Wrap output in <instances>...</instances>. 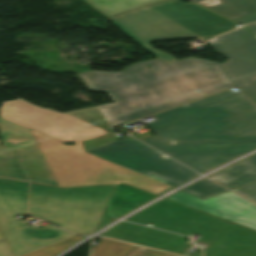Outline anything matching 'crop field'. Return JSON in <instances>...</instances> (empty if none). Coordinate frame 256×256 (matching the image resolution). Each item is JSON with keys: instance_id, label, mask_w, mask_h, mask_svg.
Segmentation results:
<instances>
[{"instance_id": "1", "label": "crop field", "mask_w": 256, "mask_h": 256, "mask_svg": "<svg viewBox=\"0 0 256 256\" xmlns=\"http://www.w3.org/2000/svg\"><path fill=\"white\" fill-rule=\"evenodd\" d=\"M142 140L203 173L256 148V103L229 90L156 115Z\"/></svg>"}, {"instance_id": "2", "label": "crop field", "mask_w": 256, "mask_h": 256, "mask_svg": "<svg viewBox=\"0 0 256 256\" xmlns=\"http://www.w3.org/2000/svg\"><path fill=\"white\" fill-rule=\"evenodd\" d=\"M78 75L89 90L107 92L115 102L99 106L112 127L232 87L218 63L192 57L167 65L155 59L120 73Z\"/></svg>"}, {"instance_id": "3", "label": "crop field", "mask_w": 256, "mask_h": 256, "mask_svg": "<svg viewBox=\"0 0 256 256\" xmlns=\"http://www.w3.org/2000/svg\"><path fill=\"white\" fill-rule=\"evenodd\" d=\"M165 64L177 61L154 49L149 42L199 37L206 41L230 31L238 24L193 2L170 0L108 18Z\"/></svg>"}, {"instance_id": "4", "label": "crop field", "mask_w": 256, "mask_h": 256, "mask_svg": "<svg viewBox=\"0 0 256 256\" xmlns=\"http://www.w3.org/2000/svg\"><path fill=\"white\" fill-rule=\"evenodd\" d=\"M32 133L62 187L126 183L157 195L173 188L85 152L81 141L70 146L40 133Z\"/></svg>"}, {"instance_id": "5", "label": "crop field", "mask_w": 256, "mask_h": 256, "mask_svg": "<svg viewBox=\"0 0 256 256\" xmlns=\"http://www.w3.org/2000/svg\"><path fill=\"white\" fill-rule=\"evenodd\" d=\"M114 185L61 189L30 183L28 213L68 231H94Z\"/></svg>"}, {"instance_id": "6", "label": "crop field", "mask_w": 256, "mask_h": 256, "mask_svg": "<svg viewBox=\"0 0 256 256\" xmlns=\"http://www.w3.org/2000/svg\"><path fill=\"white\" fill-rule=\"evenodd\" d=\"M1 116L63 142L82 140L85 151L119 139L97 108L57 114L20 100L3 102Z\"/></svg>"}, {"instance_id": "7", "label": "crop field", "mask_w": 256, "mask_h": 256, "mask_svg": "<svg viewBox=\"0 0 256 256\" xmlns=\"http://www.w3.org/2000/svg\"><path fill=\"white\" fill-rule=\"evenodd\" d=\"M27 188L28 183L0 179V230L14 256L74 236L53 226L37 230L15 219L25 212Z\"/></svg>"}, {"instance_id": "8", "label": "crop field", "mask_w": 256, "mask_h": 256, "mask_svg": "<svg viewBox=\"0 0 256 256\" xmlns=\"http://www.w3.org/2000/svg\"><path fill=\"white\" fill-rule=\"evenodd\" d=\"M88 152L173 187L199 175L130 136Z\"/></svg>"}, {"instance_id": "9", "label": "crop field", "mask_w": 256, "mask_h": 256, "mask_svg": "<svg viewBox=\"0 0 256 256\" xmlns=\"http://www.w3.org/2000/svg\"><path fill=\"white\" fill-rule=\"evenodd\" d=\"M128 221L162 230L189 236L191 233L202 235L198 241H213L227 224L222 220L210 217L186 207L163 200L142 212L130 217Z\"/></svg>"}, {"instance_id": "10", "label": "crop field", "mask_w": 256, "mask_h": 256, "mask_svg": "<svg viewBox=\"0 0 256 256\" xmlns=\"http://www.w3.org/2000/svg\"><path fill=\"white\" fill-rule=\"evenodd\" d=\"M247 32L242 27L208 43L229 58L220 67L237 88L256 102V39Z\"/></svg>"}, {"instance_id": "11", "label": "crop field", "mask_w": 256, "mask_h": 256, "mask_svg": "<svg viewBox=\"0 0 256 256\" xmlns=\"http://www.w3.org/2000/svg\"><path fill=\"white\" fill-rule=\"evenodd\" d=\"M0 132L5 146L11 142L30 181L59 186L30 129L0 117Z\"/></svg>"}, {"instance_id": "12", "label": "crop field", "mask_w": 256, "mask_h": 256, "mask_svg": "<svg viewBox=\"0 0 256 256\" xmlns=\"http://www.w3.org/2000/svg\"><path fill=\"white\" fill-rule=\"evenodd\" d=\"M167 199L256 230V205L230 191L204 200L180 191Z\"/></svg>"}, {"instance_id": "13", "label": "crop field", "mask_w": 256, "mask_h": 256, "mask_svg": "<svg viewBox=\"0 0 256 256\" xmlns=\"http://www.w3.org/2000/svg\"><path fill=\"white\" fill-rule=\"evenodd\" d=\"M204 256H256V232L228 223Z\"/></svg>"}, {"instance_id": "14", "label": "crop field", "mask_w": 256, "mask_h": 256, "mask_svg": "<svg viewBox=\"0 0 256 256\" xmlns=\"http://www.w3.org/2000/svg\"><path fill=\"white\" fill-rule=\"evenodd\" d=\"M154 197L156 196L133 189L125 185H117L99 219L95 230L112 221L111 219H107L108 217L118 218L119 216L130 211L136 206Z\"/></svg>"}, {"instance_id": "15", "label": "crop field", "mask_w": 256, "mask_h": 256, "mask_svg": "<svg viewBox=\"0 0 256 256\" xmlns=\"http://www.w3.org/2000/svg\"><path fill=\"white\" fill-rule=\"evenodd\" d=\"M209 177L230 189L255 182L256 154Z\"/></svg>"}, {"instance_id": "16", "label": "crop field", "mask_w": 256, "mask_h": 256, "mask_svg": "<svg viewBox=\"0 0 256 256\" xmlns=\"http://www.w3.org/2000/svg\"><path fill=\"white\" fill-rule=\"evenodd\" d=\"M106 18L167 0H84Z\"/></svg>"}, {"instance_id": "17", "label": "crop field", "mask_w": 256, "mask_h": 256, "mask_svg": "<svg viewBox=\"0 0 256 256\" xmlns=\"http://www.w3.org/2000/svg\"><path fill=\"white\" fill-rule=\"evenodd\" d=\"M231 20L256 13V0H218V5L206 6L203 0H190Z\"/></svg>"}, {"instance_id": "18", "label": "crop field", "mask_w": 256, "mask_h": 256, "mask_svg": "<svg viewBox=\"0 0 256 256\" xmlns=\"http://www.w3.org/2000/svg\"><path fill=\"white\" fill-rule=\"evenodd\" d=\"M0 177L27 181L11 147L0 148Z\"/></svg>"}, {"instance_id": "19", "label": "crop field", "mask_w": 256, "mask_h": 256, "mask_svg": "<svg viewBox=\"0 0 256 256\" xmlns=\"http://www.w3.org/2000/svg\"><path fill=\"white\" fill-rule=\"evenodd\" d=\"M101 241L92 248L91 256H125L135 246L100 238Z\"/></svg>"}, {"instance_id": "20", "label": "crop field", "mask_w": 256, "mask_h": 256, "mask_svg": "<svg viewBox=\"0 0 256 256\" xmlns=\"http://www.w3.org/2000/svg\"><path fill=\"white\" fill-rule=\"evenodd\" d=\"M182 191L204 199L227 190L205 178Z\"/></svg>"}, {"instance_id": "21", "label": "crop field", "mask_w": 256, "mask_h": 256, "mask_svg": "<svg viewBox=\"0 0 256 256\" xmlns=\"http://www.w3.org/2000/svg\"><path fill=\"white\" fill-rule=\"evenodd\" d=\"M82 238L83 237L74 236L60 243L25 254L23 256H54Z\"/></svg>"}, {"instance_id": "22", "label": "crop field", "mask_w": 256, "mask_h": 256, "mask_svg": "<svg viewBox=\"0 0 256 256\" xmlns=\"http://www.w3.org/2000/svg\"><path fill=\"white\" fill-rule=\"evenodd\" d=\"M127 256H176V255L136 246Z\"/></svg>"}, {"instance_id": "23", "label": "crop field", "mask_w": 256, "mask_h": 256, "mask_svg": "<svg viewBox=\"0 0 256 256\" xmlns=\"http://www.w3.org/2000/svg\"><path fill=\"white\" fill-rule=\"evenodd\" d=\"M234 191L256 203V183Z\"/></svg>"}, {"instance_id": "24", "label": "crop field", "mask_w": 256, "mask_h": 256, "mask_svg": "<svg viewBox=\"0 0 256 256\" xmlns=\"http://www.w3.org/2000/svg\"><path fill=\"white\" fill-rule=\"evenodd\" d=\"M242 25L256 21V14L234 20Z\"/></svg>"}, {"instance_id": "25", "label": "crop field", "mask_w": 256, "mask_h": 256, "mask_svg": "<svg viewBox=\"0 0 256 256\" xmlns=\"http://www.w3.org/2000/svg\"><path fill=\"white\" fill-rule=\"evenodd\" d=\"M0 256H11L4 242H0Z\"/></svg>"}, {"instance_id": "26", "label": "crop field", "mask_w": 256, "mask_h": 256, "mask_svg": "<svg viewBox=\"0 0 256 256\" xmlns=\"http://www.w3.org/2000/svg\"><path fill=\"white\" fill-rule=\"evenodd\" d=\"M246 28H247L248 31H249L250 33H252L253 35L256 34V23H253V24H251V25H248V26H246Z\"/></svg>"}, {"instance_id": "27", "label": "crop field", "mask_w": 256, "mask_h": 256, "mask_svg": "<svg viewBox=\"0 0 256 256\" xmlns=\"http://www.w3.org/2000/svg\"><path fill=\"white\" fill-rule=\"evenodd\" d=\"M0 241H3V239H2V237H1V235H0Z\"/></svg>"}]
</instances>
